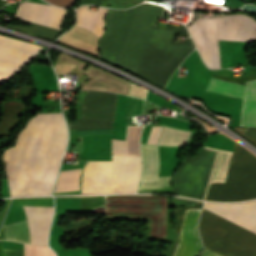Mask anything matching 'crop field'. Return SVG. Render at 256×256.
Instances as JSON below:
<instances>
[{"label":"crop field","instance_id":"8","mask_svg":"<svg viewBox=\"0 0 256 256\" xmlns=\"http://www.w3.org/2000/svg\"><path fill=\"white\" fill-rule=\"evenodd\" d=\"M167 197L147 195L106 196V218H150L149 236L166 238Z\"/></svg>","mask_w":256,"mask_h":256},{"label":"crop field","instance_id":"13","mask_svg":"<svg viewBox=\"0 0 256 256\" xmlns=\"http://www.w3.org/2000/svg\"><path fill=\"white\" fill-rule=\"evenodd\" d=\"M66 13V9L51 5L23 2L19 4L14 18L60 30Z\"/></svg>","mask_w":256,"mask_h":256},{"label":"crop field","instance_id":"16","mask_svg":"<svg viewBox=\"0 0 256 256\" xmlns=\"http://www.w3.org/2000/svg\"><path fill=\"white\" fill-rule=\"evenodd\" d=\"M29 223L31 244L47 246L53 207L23 206Z\"/></svg>","mask_w":256,"mask_h":256},{"label":"crop field","instance_id":"29","mask_svg":"<svg viewBox=\"0 0 256 256\" xmlns=\"http://www.w3.org/2000/svg\"><path fill=\"white\" fill-rule=\"evenodd\" d=\"M46 1L49 3L59 5V6H64V7H68L72 5V2H73V0H46Z\"/></svg>","mask_w":256,"mask_h":256},{"label":"crop field","instance_id":"15","mask_svg":"<svg viewBox=\"0 0 256 256\" xmlns=\"http://www.w3.org/2000/svg\"><path fill=\"white\" fill-rule=\"evenodd\" d=\"M143 168L140 177H157L158 155L157 146L141 144ZM171 177L140 178L137 190H155L170 185Z\"/></svg>","mask_w":256,"mask_h":256},{"label":"crop field","instance_id":"7","mask_svg":"<svg viewBox=\"0 0 256 256\" xmlns=\"http://www.w3.org/2000/svg\"><path fill=\"white\" fill-rule=\"evenodd\" d=\"M226 184H211L209 201H239L256 198V157L234 143Z\"/></svg>","mask_w":256,"mask_h":256},{"label":"crop field","instance_id":"5","mask_svg":"<svg viewBox=\"0 0 256 256\" xmlns=\"http://www.w3.org/2000/svg\"><path fill=\"white\" fill-rule=\"evenodd\" d=\"M231 153L202 147L197 157H186L173 177L172 193L204 200L209 183L225 181Z\"/></svg>","mask_w":256,"mask_h":256},{"label":"crop field","instance_id":"23","mask_svg":"<svg viewBox=\"0 0 256 256\" xmlns=\"http://www.w3.org/2000/svg\"><path fill=\"white\" fill-rule=\"evenodd\" d=\"M24 256H55L52 249L24 244Z\"/></svg>","mask_w":256,"mask_h":256},{"label":"crop field","instance_id":"18","mask_svg":"<svg viewBox=\"0 0 256 256\" xmlns=\"http://www.w3.org/2000/svg\"><path fill=\"white\" fill-rule=\"evenodd\" d=\"M88 6H81L76 9L77 24L75 26L83 27L96 36L103 35L104 18L108 9L99 7L97 12L87 10Z\"/></svg>","mask_w":256,"mask_h":256},{"label":"crop field","instance_id":"28","mask_svg":"<svg viewBox=\"0 0 256 256\" xmlns=\"http://www.w3.org/2000/svg\"><path fill=\"white\" fill-rule=\"evenodd\" d=\"M81 4H93V5H101L108 7V1L107 0H82Z\"/></svg>","mask_w":256,"mask_h":256},{"label":"crop field","instance_id":"26","mask_svg":"<svg viewBox=\"0 0 256 256\" xmlns=\"http://www.w3.org/2000/svg\"><path fill=\"white\" fill-rule=\"evenodd\" d=\"M75 67L76 66H73V65L57 64L55 71H56L57 75H63V74H68Z\"/></svg>","mask_w":256,"mask_h":256},{"label":"crop field","instance_id":"14","mask_svg":"<svg viewBox=\"0 0 256 256\" xmlns=\"http://www.w3.org/2000/svg\"><path fill=\"white\" fill-rule=\"evenodd\" d=\"M201 209L185 211L178 243L172 256H196L201 250L197 221Z\"/></svg>","mask_w":256,"mask_h":256},{"label":"crop field","instance_id":"25","mask_svg":"<svg viewBox=\"0 0 256 256\" xmlns=\"http://www.w3.org/2000/svg\"><path fill=\"white\" fill-rule=\"evenodd\" d=\"M162 127L152 126L147 143L156 144Z\"/></svg>","mask_w":256,"mask_h":256},{"label":"crop field","instance_id":"22","mask_svg":"<svg viewBox=\"0 0 256 256\" xmlns=\"http://www.w3.org/2000/svg\"><path fill=\"white\" fill-rule=\"evenodd\" d=\"M145 101L138 98L130 97L128 98L126 106V117L142 114Z\"/></svg>","mask_w":256,"mask_h":256},{"label":"crop field","instance_id":"27","mask_svg":"<svg viewBox=\"0 0 256 256\" xmlns=\"http://www.w3.org/2000/svg\"><path fill=\"white\" fill-rule=\"evenodd\" d=\"M195 204L194 201L182 200L177 198H171L170 206H189Z\"/></svg>","mask_w":256,"mask_h":256},{"label":"crop field","instance_id":"17","mask_svg":"<svg viewBox=\"0 0 256 256\" xmlns=\"http://www.w3.org/2000/svg\"><path fill=\"white\" fill-rule=\"evenodd\" d=\"M98 40L99 38L91 32L82 28L74 27L57 41L100 57L97 47Z\"/></svg>","mask_w":256,"mask_h":256},{"label":"crop field","instance_id":"10","mask_svg":"<svg viewBox=\"0 0 256 256\" xmlns=\"http://www.w3.org/2000/svg\"><path fill=\"white\" fill-rule=\"evenodd\" d=\"M205 91L243 98L239 126L256 127V80L243 86L211 78Z\"/></svg>","mask_w":256,"mask_h":256},{"label":"crop field","instance_id":"11","mask_svg":"<svg viewBox=\"0 0 256 256\" xmlns=\"http://www.w3.org/2000/svg\"><path fill=\"white\" fill-rule=\"evenodd\" d=\"M41 49L36 44L0 36V81L13 75Z\"/></svg>","mask_w":256,"mask_h":256},{"label":"crop field","instance_id":"19","mask_svg":"<svg viewBox=\"0 0 256 256\" xmlns=\"http://www.w3.org/2000/svg\"><path fill=\"white\" fill-rule=\"evenodd\" d=\"M141 126H127L125 140L139 141ZM112 139V153L140 155L139 142Z\"/></svg>","mask_w":256,"mask_h":256},{"label":"crop field","instance_id":"1","mask_svg":"<svg viewBox=\"0 0 256 256\" xmlns=\"http://www.w3.org/2000/svg\"><path fill=\"white\" fill-rule=\"evenodd\" d=\"M161 7L142 4L129 10L110 9L98 45L105 59L164 87L194 45L190 38L175 42L177 32L189 36L185 27L154 25Z\"/></svg>","mask_w":256,"mask_h":256},{"label":"crop field","instance_id":"4","mask_svg":"<svg viewBox=\"0 0 256 256\" xmlns=\"http://www.w3.org/2000/svg\"><path fill=\"white\" fill-rule=\"evenodd\" d=\"M207 67L220 68L218 40H256V20L245 15L197 18L187 26Z\"/></svg>","mask_w":256,"mask_h":256},{"label":"crop field","instance_id":"12","mask_svg":"<svg viewBox=\"0 0 256 256\" xmlns=\"http://www.w3.org/2000/svg\"><path fill=\"white\" fill-rule=\"evenodd\" d=\"M57 63L79 65L78 67H76L79 70H82L87 65L63 53H60ZM83 73L89 75L93 79L89 80L82 87L81 90L91 89V90H99V91H107V92H118L126 95L128 93L130 83L110 73L99 70L90 65L85 71H83Z\"/></svg>","mask_w":256,"mask_h":256},{"label":"crop field","instance_id":"24","mask_svg":"<svg viewBox=\"0 0 256 256\" xmlns=\"http://www.w3.org/2000/svg\"><path fill=\"white\" fill-rule=\"evenodd\" d=\"M234 130L256 144V128H240L234 126Z\"/></svg>","mask_w":256,"mask_h":256},{"label":"crop field","instance_id":"21","mask_svg":"<svg viewBox=\"0 0 256 256\" xmlns=\"http://www.w3.org/2000/svg\"><path fill=\"white\" fill-rule=\"evenodd\" d=\"M5 239L23 241L30 244L27 221L22 220L3 225Z\"/></svg>","mask_w":256,"mask_h":256},{"label":"crop field","instance_id":"6","mask_svg":"<svg viewBox=\"0 0 256 256\" xmlns=\"http://www.w3.org/2000/svg\"><path fill=\"white\" fill-rule=\"evenodd\" d=\"M140 156L112 154V161H88L81 180V193L135 192Z\"/></svg>","mask_w":256,"mask_h":256},{"label":"crop field","instance_id":"3","mask_svg":"<svg viewBox=\"0 0 256 256\" xmlns=\"http://www.w3.org/2000/svg\"><path fill=\"white\" fill-rule=\"evenodd\" d=\"M204 209L256 233V202L208 204ZM202 210L199 231L203 245L222 256H256V234L206 210ZM200 256H220L208 249Z\"/></svg>","mask_w":256,"mask_h":256},{"label":"crop field","instance_id":"20","mask_svg":"<svg viewBox=\"0 0 256 256\" xmlns=\"http://www.w3.org/2000/svg\"><path fill=\"white\" fill-rule=\"evenodd\" d=\"M22 107L23 104L20 103H5L2 118L0 117V137L4 136L11 130L21 113Z\"/></svg>","mask_w":256,"mask_h":256},{"label":"crop field","instance_id":"9","mask_svg":"<svg viewBox=\"0 0 256 256\" xmlns=\"http://www.w3.org/2000/svg\"><path fill=\"white\" fill-rule=\"evenodd\" d=\"M117 94L85 91L81 119L67 122L70 130L112 128Z\"/></svg>","mask_w":256,"mask_h":256},{"label":"crop field","instance_id":"2","mask_svg":"<svg viewBox=\"0 0 256 256\" xmlns=\"http://www.w3.org/2000/svg\"><path fill=\"white\" fill-rule=\"evenodd\" d=\"M45 114H37L18 134L1 161L10 196L31 193ZM66 126L61 113L46 114L31 195H50L66 145Z\"/></svg>","mask_w":256,"mask_h":256}]
</instances>
